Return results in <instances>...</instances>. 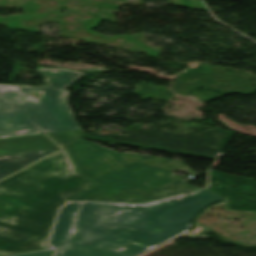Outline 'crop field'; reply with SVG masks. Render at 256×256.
<instances>
[{"mask_svg":"<svg viewBox=\"0 0 256 256\" xmlns=\"http://www.w3.org/2000/svg\"><path fill=\"white\" fill-rule=\"evenodd\" d=\"M222 199L200 190L146 205L69 203L49 243L55 256H136L188 232L204 208Z\"/></svg>","mask_w":256,"mask_h":256,"instance_id":"crop-field-1","label":"crop field"},{"mask_svg":"<svg viewBox=\"0 0 256 256\" xmlns=\"http://www.w3.org/2000/svg\"><path fill=\"white\" fill-rule=\"evenodd\" d=\"M94 186L65 149L0 182V256L47 249L57 208Z\"/></svg>","mask_w":256,"mask_h":256,"instance_id":"crop-field-2","label":"crop field"},{"mask_svg":"<svg viewBox=\"0 0 256 256\" xmlns=\"http://www.w3.org/2000/svg\"><path fill=\"white\" fill-rule=\"evenodd\" d=\"M67 149L77 169L98 184L72 199L75 201L146 203L201 189L173 174L181 171L198 176L177 160L119 154L84 139Z\"/></svg>","mask_w":256,"mask_h":256,"instance_id":"crop-field-3","label":"crop field"},{"mask_svg":"<svg viewBox=\"0 0 256 256\" xmlns=\"http://www.w3.org/2000/svg\"><path fill=\"white\" fill-rule=\"evenodd\" d=\"M49 86L0 85V138L79 129L65 90L85 73L38 67ZM42 92L32 99L29 94Z\"/></svg>","mask_w":256,"mask_h":256,"instance_id":"crop-field-4","label":"crop field"},{"mask_svg":"<svg viewBox=\"0 0 256 256\" xmlns=\"http://www.w3.org/2000/svg\"><path fill=\"white\" fill-rule=\"evenodd\" d=\"M59 148L44 134L0 139V156Z\"/></svg>","mask_w":256,"mask_h":256,"instance_id":"crop-field-5","label":"crop field"},{"mask_svg":"<svg viewBox=\"0 0 256 256\" xmlns=\"http://www.w3.org/2000/svg\"><path fill=\"white\" fill-rule=\"evenodd\" d=\"M54 150L0 157V179L55 152Z\"/></svg>","mask_w":256,"mask_h":256,"instance_id":"crop-field-6","label":"crop field"},{"mask_svg":"<svg viewBox=\"0 0 256 256\" xmlns=\"http://www.w3.org/2000/svg\"><path fill=\"white\" fill-rule=\"evenodd\" d=\"M48 135L62 147L85 136L83 130L50 133Z\"/></svg>","mask_w":256,"mask_h":256,"instance_id":"crop-field-7","label":"crop field"},{"mask_svg":"<svg viewBox=\"0 0 256 256\" xmlns=\"http://www.w3.org/2000/svg\"><path fill=\"white\" fill-rule=\"evenodd\" d=\"M52 251H44V252H38L33 254H27V255H20V256H51Z\"/></svg>","mask_w":256,"mask_h":256,"instance_id":"crop-field-8","label":"crop field"}]
</instances>
